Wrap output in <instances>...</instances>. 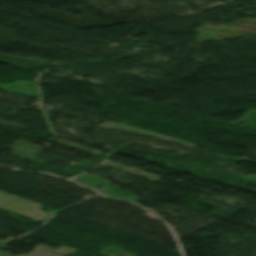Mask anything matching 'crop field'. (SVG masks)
Returning <instances> with one entry per match:
<instances>
[{"instance_id": "1", "label": "crop field", "mask_w": 256, "mask_h": 256, "mask_svg": "<svg viewBox=\"0 0 256 256\" xmlns=\"http://www.w3.org/2000/svg\"><path fill=\"white\" fill-rule=\"evenodd\" d=\"M0 206H4L6 210L37 220H41L46 216V214H42L37 210L41 205L22 200L3 192H0Z\"/></svg>"}]
</instances>
